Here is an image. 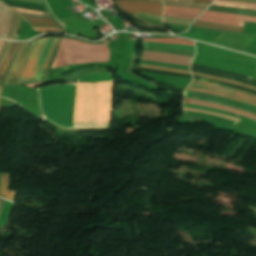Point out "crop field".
<instances>
[{
  "mask_svg": "<svg viewBox=\"0 0 256 256\" xmlns=\"http://www.w3.org/2000/svg\"><path fill=\"white\" fill-rule=\"evenodd\" d=\"M47 39L32 43L19 71L16 84L34 82L35 66Z\"/></svg>",
  "mask_w": 256,
  "mask_h": 256,
  "instance_id": "crop-field-3",
  "label": "crop field"
},
{
  "mask_svg": "<svg viewBox=\"0 0 256 256\" xmlns=\"http://www.w3.org/2000/svg\"><path fill=\"white\" fill-rule=\"evenodd\" d=\"M208 10L256 16V10L210 5Z\"/></svg>",
  "mask_w": 256,
  "mask_h": 256,
  "instance_id": "crop-field-11",
  "label": "crop field"
},
{
  "mask_svg": "<svg viewBox=\"0 0 256 256\" xmlns=\"http://www.w3.org/2000/svg\"><path fill=\"white\" fill-rule=\"evenodd\" d=\"M183 102L191 103V104H196V105H201V106H206V107H210V108H214V109H219V110H223V111H227V112L243 115V116H246L248 118L256 120V116L255 115L248 114V113H245V112H242V111H238V110H235L233 108H228V107H224V106H219V105H215V104H210V103H206V102H202V101H197V100H192V99H186V98H184Z\"/></svg>",
  "mask_w": 256,
  "mask_h": 256,
  "instance_id": "crop-field-8",
  "label": "crop field"
},
{
  "mask_svg": "<svg viewBox=\"0 0 256 256\" xmlns=\"http://www.w3.org/2000/svg\"><path fill=\"white\" fill-rule=\"evenodd\" d=\"M111 75L110 74H87L85 76H82L76 81L80 82H99V81H110Z\"/></svg>",
  "mask_w": 256,
  "mask_h": 256,
  "instance_id": "crop-field-17",
  "label": "crop field"
},
{
  "mask_svg": "<svg viewBox=\"0 0 256 256\" xmlns=\"http://www.w3.org/2000/svg\"><path fill=\"white\" fill-rule=\"evenodd\" d=\"M8 44H9V42H5L4 47H3V49H2V51H1V53H0V60H1V58H2V56H3V54H4V52H5V50H6L7 46H8Z\"/></svg>",
  "mask_w": 256,
  "mask_h": 256,
  "instance_id": "crop-field-42",
  "label": "crop field"
},
{
  "mask_svg": "<svg viewBox=\"0 0 256 256\" xmlns=\"http://www.w3.org/2000/svg\"><path fill=\"white\" fill-rule=\"evenodd\" d=\"M140 64L189 70V67H186V66L161 64V63H155V62H149V61H143V60L140 61Z\"/></svg>",
  "mask_w": 256,
  "mask_h": 256,
  "instance_id": "crop-field-28",
  "label": "crop field"
},
{
  "mask_svg": "<svg viewBox=\"0 0 256 256\" xmlns=\"http://www.w3.org/2000/svg\"><path fill=\"white\" fill-rule=\"evenodd\" d=\"M11 8L16 11H20V12L34 13V14H40V15H49L48 13H43V12L28 11V10L14 8V7H11Z\"/></svg>",
  "mask_w": 256,
  "mask_h": 256,
  "instance_id": "crop-field-38",
  "label": "crop field"
},
{
  "mask_svg": "<svg viewBox=\"0 0 256 256\" xmlns=\"http://www.w3.org/2000/svg\"><path fill=\"white\" fill-rule=\"evenodd\" d=\"M202 15H204V16H211V17H217V18H225V19H233V20L256 22V17L245 16V15L228 14V13L211 12V11H206Z\"/></svg>",
  "mask_w": 256,
  "mask_h": 256,
  "instance_id": "crop-field-10",
  "label": "crop field"
},
{
  "mask_svg": "<svg viewBox=\"0 0 256 256\" xmlns=\"http://www.w3.org/2000/svg\"><path fill=\"white\" fill-rule=\"evenodd\" d=\"M41 33H47L46 31L50 32H62L61 28H35Z\"/></svg>",
  "mask_w": 256,
  "mask_h": 256,
  "instance_id": "crop-field-37",
  "label": "crop field"
},
{
  "mask_svg": "<svg viewBox=\"0 0 256 256\" xmlns=\"http://www.w3.org/2000/svg\"><path fill=\"white\" fill-rule=\"evenodd\" d=\"M23 45H24V43L21 44V46H20V48H19V50H18V52H17V54H16V56H15V58H14L12 64H11V66H10L9 73H8V75H7V77H6V80H5L4 85H6V83H7V80H8V78H9V76H10L11 70H12V68H13V66H14V64H15V62H16V60H17V58H18V56H19V54H20V52H21V49H22Z\"/></svg>",
  "mask_w": 256,
  "mask_h": 256,
  "instance_id": "crop-field-35",
  "label": "crop field"
},
{
  "mask_svg": "<svg viewBox=\"0 0 256 256\" xmlns=\"http://www.w3.org/2000/svg\"><path fill=\"white\" fill-rule=\"evenodd\" d=\"M11 19V9L0 3V38L5 39ZM9 30V29H8Z\"/></svg>",
  "mask_w": 256,
  "mask_h": 256,
  "instance_id": "crop-field-9",
  "label": "crop field"
},
{
  "mask_svg": "<svg viewBox=\"0 0 256 256\" xmlns=\"http://www.w3.org/2000/svg\"><path fill=\"white\" fill-rule=\"evenodd\" d=\"M12 45H13V43H10V45H9V47H8V49H7V51H6L5 55H4V57H3L2 61H1V63H0V69H1V67H2V65H3V63H4L5 59H6L8 53H9L11 47H12Z\"/></svg>",
  "mask_w": 256,
  "mask_h": 256,
  "instance_id": "crop-field-39",
  "label": "crop field"
},
{
  "mask_svg": "<svg viewBox=\"0 0 256 256\" xmlns=\"http://www.w3.org/2000/svg\"><path fill=\"white\" fill-rule=\"evenodd\" d=\"M192 74L204 76V77L211 78V79L218 80V81H223V82H228V83H232V84H237V85L244 86V87H247V88H250V89L256 91V87L245 85V84H242V83H239V82H236V81L225 80V79L217 78V77H214V76L205 75V74H199V73H193V72H192Z\"/></svg>",
  "mask_w": 256,
  "mask_h": 256,
  "instance_id": "crop-field-26",
  "label": "crop field"
},
{
  "mask_svg": "<svg viewBox=\"0 0 256 256\" xmlns=\"http://www.w3.org/2000/svg\"><path fill=\"white\" fill-rule=\"evenodd\" d=\"M119 7L129 13L145 12L162 15L163 4L156 0H116Z\"/></svg>",
  "mask_w": 256,
  "mask_h": 256,
  "instance_id": "crop-field-4",
  "label": "crop field"
},
{
  "mask_svg": "<svg viewBox=\"0 0 256 256\" xmlns=\"http://www.w3.org/2000/svg\"><path fill=\"white\" fill-rule=\"evenodd\" d=\"M197 20L198 21H204V22H212V23L224 24V25L244 26V22L232 21V20H224V19H217V18H210V17H204V16H200Z\"/></svg>",
  "mask_w": 256,
  "mask_h": 256,
  "instance_id": "crop-field-19",
  "label": "crop field"
},
{
  "mask_svg": "<svg viewBox=\"0 0 256 256\" xmlns=\"http://www.w3.org/2000/svg\"><path fill=\"white\" fill-rule=\"evenodd\" d=\"M196 3H205V4H210L212 1L211 0H194Z\"/></svg>",
  "mask_w": 256,
  "mask_h": 256,
  "instance_id": "crop-field-44",
  "label": "crop field"
},
{
  "mask_svg": "<svg viewBox=\"0 0 256 256\" xmlns=\"http://www.w3.org/2000/svg\"><path fill=\"white\" fill-rule=\"evenodd\" d=\"M228 1L245 2V3H253V4H256V0H228Z\"/></svg>",
  "mask_w": 256,
  "mask_h": 256,
  "instance_id": "crop-field-41",
  "label": "crop field"
},
{
  "mask_svg": "<svg viewBox=\"0 0 256 256\" xmlns=\"http://www.w3.org/2000/svg\"><path fill=\"white\" fill-rule=\"evenodd\" d=\"M183 106L194 107V108H198V109H202V110L215 111V112H219V113H222V114H225V115L241 118V119H244V120L252 122V123H256V121L248 119V118H245L243 116H239V115H235V114H230V113H226V112H222V111H218V110H214V109H210V108H206V107H201V106H196V105H191V104H185V103H183Z\"/></svg>",
  "mask_w": 256,
  "mask_h": 256,
  "instance_id": "crop-field-23",
  "label": "crop field"
},
{
  "mask_svg": "<svg viewBox=\"0 0 256 256\" xmlns=\"http://www.w3.org/2000/svg\"><path fill=\"white\" fill-rule=\"evenodd\" d=\"M4 200H2V199H0V211H1V209H2V207H3V205H4Z\"/></svg>",
  "mask_w": 256,
  "mask_h": 256,
  "instance_id": "crop-field-46",
  "label": "crop field"
},
{
  "mask_svg": "<svg viewBox=\"0 0 256 256\" xmlns=\"http://www.w3.org/2000/svg\"><path fill=\"white\" fill-rule=\"evenodd\" d=\"M31 43L32 42L25 44V46H24L16 64H15V66L13 68L12 74H11L10 79H9L7 84H15V80H16L20 65H21V63H22V61H23V59H24V57H25V55H26V53H27V51H28V49L31 45Z\"/></svg>",
  "mask_w": 256,
  "mask_h": 256,
  "instance_id": "crop-field-14",
  "label": "crop field"
},
{
  "mask_svg": "<svg viewBox=\"0 0 256 256\" xmlns=\"http://www.w3.org/2000/svg\"><path fill=\"white\" fill-rule=\"evenodd\" d=\"M138 66L144 67V68L162 70V71L181 72V73H188V74H190V72L180 71V70H174V69H168V68H160V67H153V66H145V65H140V64H139Z\"/></svg>",
  "mask_w": 256,
  "mask_h": 256,
  "instance_id": "crop-field-33",
  "label": "crop field"
},
{
  "mask_svg": "<svg viewBox=\"0 0 256 256\" xmlns=\"http://www.w3.org/2000/svg\"><path fill=\"white\" fill-rule=\"evenodd\" d=\"M3 44H4V42H0V50H1L2 46H3Z\"/></svg>",
  "mask_w": 256,
  "mask_h": 256,
  "instance_id": "crop-field-47",
  "label": "crop field"
},
{
  "mask_svg": "<svg viewBox=\"0 0 256 256\" xmlns=\"http://www.w3.org/2000/svg\"><path fill=\"white\" fill-rule=\"evenodd\" d=\"M106 44L91 45L61 38L52 68L89 62H108Z\"/></svg>",
  "mask_w": 256,
  "mask_h": 256,
  "instance_id": "crop-field-2",
  "label": "crop field"
},
{
  "mask_svg": "<svg viewBox=\"0 0 256 256\" xmlns=\"http://www.w3.org/2000/svg\"><path fill=\"white\" fill-rule=\"evenodd\" d=\"M143 41L169 43V44H187V45L194 46L193 42L181 40V39H143Z\"/></svg>",
  "mask_w": 256,
  "mask_h": 256,
  "instance_id": "crop-field-20",
  "label": "crop field"
},
{
  "mask_svg": "<svg viewBox=\"0 0 256 256\" xmlns=\"http://www.w3.org/2000/svg\"><path fill=\"white\" fill-rule=\"evenodd\" d=\"M165 23L189 25L191 21L176 18L163 17Z\"/></svg>",
  "mask_w": 256,
  "mask_h": 256,
  "instance_id": "crop-field-30",
  "label": "crop field"
},
{
  "mask_svg": "<svg viewBox=\"0 0 256 256\" xmlns=\"http://www.w3.org/2000/svg\"><path fill=\"white\" fill-rule=\"evenodd\" d=\"M144 50L162 52V53L181 54V55H186V56H190V57H193V55L195 53V52L186 51V50L167 49V48L148 47V46H144Z\"/></svg>",
  "mask_w": 256,
  "mask_h": 256,
  "instance_id": "crop-field-18",
  "label": "crop field"
},
{
  "mask_svg": "<svg viewBox=\"0 0 256 256\" xmlns=\"http://www.w3.org/2000/svg\"><path fill=\"white\" fill-rule=\"evenodd\" d=\"M54 39H48L45 46H44V49H43V53L37 63V67H36V74H35V82L36 81H41V72H42V69H43V65L45 63V60H46V56H47V53L50 49V46L52 44Z\"/></svg>",
  "mask_w": 256,
  "mask_h": 256,
  "instance_id": "crop-field-12",
  "label": "crop field"
},
{
  "mask_svg": "<svg viewBox=\"0 0 256 256\" xmlns=\"http://www.w3.org/2000/svg\"><path fill=\"white\" fill-rule=\"evenodd\" d=\"M143 44H144V45H148V46L178 48V49H186V50L195 51L194 47H192V46H186V45H168V44H156V43H147V42H143Z\"/></svg>",
  "mask_w": 256,
  "mask_h": 256,
  "instance_id": "crop-field-24",
  "label": "crop field"
},
{
  "mask_svg": "<svg viewBox=\"0 0 256 256\" xmlns=\"http://www.w3.org/2000/svg\"><path fill=\"white\" fill-rule=\"evenodd\" d=\"M113 82L56 85L38 89L44 117L55 124L73 128L109 127Z\"/></svg>",
  "mask_w": 256,
  "mask_h": 256,
  "instance_id": "crop-field-1",
  "label": "crop field"
},
{
  "mask_svg": "<svg viewBox=\"0 0 256 256\" xmlns=\"http://www.w3.org/2000/svg\"><path fill=\"white\" fill-rule=\"evenodd\" d=\"M166 5L189 7V8H199V9H205L207 7V5H202V4H189V3L170 2V1H166Z\"/></svg>",
  "mask_w": 256,
  "mask_h": 256,
  "instance_id": "crop-field-25",
  "label": "crop field"
},
{
  "mask_svg": "<svg viewBox=\"0 0 256 256\" xmlns=\"http://www.w3.org/2000/svg\"><path fill=\"white\" fill-rule=\"evenodd\" d=\"M186 90L204 92V93H208V94H212V95H216V96H220V97H225V98L234 99V100H237V101H240V102H244V103H247V104L256 106V104H253V103H251V102H248V101H245V100H242V99L234 98V97L227 96V95H223V94H218V93L209 92V91H206V90H198V89H191V88H186Z\"/></svg>",
  "mask_w": 256,
  "mask_h": 256,
  "instance_id": "crop-field-27",
  "label": "crop field"
},
{
  "mask_svg": "<svg viewBox=\"0 0 256 256\" xmlns=\"http://www.w3.org/2000/svg\"><path fill=\"white\" fill-rule=\"evenodd\" d=\"M213 4L256 9V5L243 4V3H235V2H227V1H220V0H216Z\"/></svg>",
  "mask_w": 256,
  "mask_h": 256,
  "instance_id": "crop-field-22",
  "label": "crop field"
},
{
  "mask_svg": "<svg viewBox=\"0 0 256 256\" xmlns=\"http://www.w3.org/2000/svg\"><path fill=\"white\" fill-rule=\"evenodd\" d=\"M188 87L202 88V89H206V90L213 91V92L228 94V95H232V96L239 97V98L256 103V96H254L252 94L234 90V89H230V88H226V87H222V86H218V85H214V84H210V83H206V82H202V81H198V80H194V79H193V82Z\"/></svg>",
  "mask_w": 256,
  "mask_h": 256,
  "instance_id": "crop-field-6",
  "label": "crop field"
},
{
  "mask_svg": "<svg viewBox=\"0 0 256 256\" xmlns=\"http://www.w3.org/2000/svg\"><path fill=\"white\" fill-rule=\"evenodd\" d=\"M192 25L203 27V28L228 30V31L240 32V33H242L244 29L240 27L224 26V25H217V24L204 23V22H198V21H195Z\"/></svg>",
  "mask_w": 256,
  "mask_h": 256,
  "instance_id": "crop-field-15",
  "label": "crop field"
},
{
  "mask_svg": "<svg viewBox=\"0 0 256 256\" xmlns=\"http://www.w3.org/2000/svg\"><path fill=\"white\" fill-rule=\"evenodd\" d=\"M141 59L162 62V63L186 65V66H189V64L192 60V58H190V57L162 54V53H154V52H147V51L143 52Z\"/></svg>",
  "mask_w": 256,
  "mask_h": 256,
  "instance_id": "crop-field-7",
  "label": "crop field"
},
{
  "mask_svg": "<svg viewBox=\"0 0 256 256\" xmlns=\"http://www.w3.org/2000/svg\"><path fill=\"white\" fill-rule=\"evenodd\" d=\"M179 1H190V2H193V0H179Z\"/></svg>",
  "mask_w": 256,
  "mask_h": 256,
  "instance_id": "crop-field-48",
  "label": "crop field"
},
{
  "mask_svg": "<svg viewBox=\"0 0 256 256\" xmlns=\"http://www.w3.org/2000/svg\"><path fill=\"white\" fill-rule=\"evenodd\" d=\"M184 114L201 116V117H205V118H209V119H213V120H220L224 123H228V124H232V125L237 123V122H234L232 120L224 119V118L217 117V116H214V115H209V114L196 113V112H187V111H184Z\"/></svg>",
  "mask_w": 256,
  "mask_h": 256,
  "instance_id": "crop-field-21",
  "label": "crop field"
},
{
  "mask_svg": "<svg viewBox=\"0 0 256 256\" xmlns=\"http://www.w3.org/2000/svg\"><path fill=\"white\" fill-rule=\"evenodd\" d=\"M20 20H21V16L18 15L17 27H16V31H15V35H14V39L13 40H16V38H17V34H18L19 26H20Z\"/></svg>",
  "mask_w": 256,
  "mask_h": 256,
  "instance_id": "crop-field-40",
  "label": "crop field"
},
{
  "mask_svg": "<svg viewBox=\"0 0 256 256\" xmlns=\"http://www.w3.org/2000/svg\"><path fill=\"white\" fill-rule=\"evenodd\" d=\"M163 16L176 17V18L189 19V20H193L196 17L194 15H186V14L171 13V12H164Z\"/></svg>",
  "mask_w": 256,
  "mask_h": 256,
  "instance_id": "crop-field-31",
  "label": "crop field"
},
{
  "mask_svg": "<svg viewBox=\"0 0 256 256\" xmlns=\"http://www.w3.org/2000/svg\"><path fill=\"white\" fill-rule=\"evenodd\" d=\"M9 175L1 174L0 197L12 201L15 191H7Z\"/></svg>",
  "mask_w": 256,
  "mask_h": 256,
  "instance_id": "crop-field-16",
  "label": "crop field"
},
{
  "mask_svg": "<svg viewBox=\"0 0 256 256\" xmlns=\"http://www.w3.org/2000/svg\"><path fill=\"white\" fill-rule=\"evenodd\" d=\"M17 44H18V43H15V44H14V46H13V48H12V50H11V52H10V54H9V56H8V58H7V60H6V62H5V64H4V66H3V68H2V70H1V72H0V81H1V79H2V76H3V74H4V71H5V69H6L7 63H8V61H9L10 57L12 56V54H13V52H14L16 46H17Z\"/></svg>",
  "mask_w": 256,
  "mask_h": 256,
  "instance_id": "crop-field-36",
  "label": "crop field"
},
{
  "mask_svg": "<svg viewBox=\"0 0 256 256\" xmlns=\"http://www.w3.org/2000/svg\"><path fill=\"white\" fill-rule=\"evenodd\" d=\"M32 27H59L54 19L24 17Z\"/></svg>",
  "mask_w": 256,
  "mask_h": 256,
  "instance_id": "crop-field-13",
  "label": "crop field"
},
{
  "mask_svg": "<svg viewBox=\"0 0 256 256\" xmlns=\"http://www.w3.org/2000/svg\"><path fill=\"white\" fill-rule=\"evenodd\" d=\"M184 97L202 100V101L215 103V104L226 105V106H230L233 108L241 109V110L256 114V107H252L243 103H239L236 101H232V100H228L220 97H215V96H211L203 93H197V92H189V91L184 92Z\"/></svg>",
  "mask_w": 256,
  "mask_h": 256,
  "instance_id": "crop-field-5",
  "label": "crop field"
},
{
  "mask_svg": "<svg viewBox=\"0 0 256 256\" xmlns=\"http://www.w3.org/2000/svg\"><path fill=\"white\" fill-rule=\"evenodd\" d=\"M21 1L43 4L42 0H21Z\"/></svg>",
  "mask_w": 256,
  "mask_h": 256,
  "instance_id": "crop-field-45",
  "label": "crop field"
},
{
  "mask_svg": "<svg viewBox=\"0 0 256 256\" xmlns=\"http://www.w3.org/2000/svg\"><path fill=\"white\" fill-rule=\"evenodd\" d=\"M22 16H30V17H46V18H51V17H47V16H40V15H33V14H24V13H20Z\"/></svg>",
  "mask_w": 256,
  "mask_h": 256,
  "instance_id": "crop-field-43",
  "label": "crop field"
},
{
  "mask_svg": "<svg viewBox=\"0 0 256 256\" xmlns=\"http://www.w3.org/2000/svg\"><path fill=\"white\" fill-rule=\"evenodd\" d=\"M57 40H58V39H55L54 42H53V44H52V46H51V49H50V51H49V53H48V56H47L46 63H45V65H44L43 72H44L45 70H47V68H48V65H49L51 56H52V54H53V51H54V49H55Z\"/></svg>",
  "mask_w": 256,
  "mask_h": 256,
  "instance_id": "crop-field-32",
  "label": "crop field"
},
{
  "mask_svg": "<svg viewBox=\"0 0 256 256\" xmlns=\"http://www.w3.org/2000/svg\"><path fill=\"white\" fill-rule=\"evenodd\" d=\"M164 11L196 14V13H198L200 10H196V9H184V8H172V7H166V6H165ZM201 11H202V10H201ZM201 11H200V12H201ZM200 12H199V13H200ZM199 13H198V14H199ZM198 14H197V15H198Z\"/></svg>",
  "mask_w": 256,
  "mask_h": 256,
  "instance_id": "crop-field-29",
  "label": "crop field"
},
{
  "mask_svg": "<svg viewBox=\"0 0 256 256\" xmlns=\"http://www.w3.org/2000/svg\"><path fill=\"white\" fill-rule=\"evenodd\" d=\"M16 19H17V13L13 12V19H12V24H11V28H10V33L7 39L12 40L13 38V34H14V30H15V26H16Z\"/></svg>",
  "mask_w": 256,
  "mask_h": 256,
  "instance_id": "crop-field-34",
  "label": "crop field"
}]
</instances>
